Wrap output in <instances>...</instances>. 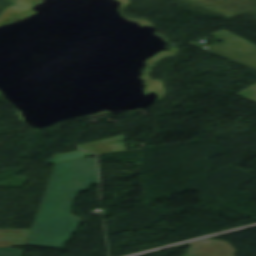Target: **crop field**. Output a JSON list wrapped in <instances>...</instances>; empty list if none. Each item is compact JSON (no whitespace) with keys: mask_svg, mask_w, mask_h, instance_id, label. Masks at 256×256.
Wrapping results in <instances>:
<instances>
[{"mask_svg":"<svg viewBox=\"0 0 256 256\" xmlns=\"http://www.w3.org/2000/svg\"><path fill=\"white\" fill-rule=\"evenodd\" d=\"M92 184H98L95 160L54 164L26 245L64 249L81 221L71 214L74 200Z\"/></svg>","mask_w":256,"mask_h":256,"instance_id":"1","label":"crop field"},{"mask_svg":"<svg viewBox=\"0 0 256 256\" xmlns=\"http://www.w3.org/2000/svg\"><path fill=\"white\" fill-rule=\"evenodd\" d=\"M210 36L224 42L222 45L213 44L208 50L218 56L228 58L256 69V46L223 30Z\"/></svg>","mask_w":256,"mask_h":256,"instance_id":"2","label":"crop field"},{"mask_svg":"<svg viewBox=\"0 0 256 256\" xmlns=\"http://www.w3.org/2000/svg\"><path fill=\"white\" fill-rule=\"evenodd\" d=\"M236 252L228 242L203 240L190 243L185 256H233Z\"/></svg>","mask_w":256,"mask_h":256,"instance_id":"3","label":"crop field"},{"mask_svg":"<svg viewBox=\"0 0 256 256\" xmlns=\"http://www.w3.org/2000/svg\"><path fill=\"white\" fill-rule=\"evenodd\" d=\"M124 140H125V137L124 135H122L118 137H113L109 139H104V140L80 145L79 147L83 150L91 151L96 154L123 151V150H126Z\"/></svg>","mask_w":256,"mask_h":256,"instance_id":"4","label":"crop field"},{"mask_svg":"<svg viewBox=\"0 0 256 256\" xmlns=\"http://www.w3.org/2000/svg\"><path fill=\"white\" fill-rule=\"evenodd\" d=\"M89 155H93V154H89V153L82 152V151L69 152V153L56 155V156L53 157V159L47 160L45 162L48 163V164H51V163H57V162L82 158V157H86V156H89Z\"/></svg>","mask_w":256,"mask_h":256,"instance_id":"5","label":"crop field"},{"mask_svg":"<svg viewBox=\"0 0 256 256\" xmlns=\"http://www.w3.org/2000/svg\"><path fill=\"white\" fill-rule=\"evenodd\" d=\"M237 95L256 102V84L251 86L250 88L238 93Z\"/></svg>","mask_w":256,"mask_h":256,"instance_id":"6","label":"crop field"},{"mask_svg":"<svg viewBox=\"0 0 256 256\" xmlns=\"http://www.w3.org/2000/svg\"><path fill=\"white\" fill-rule=\"evenodd\" d=\"M24 251L8 248L0 249V256H22Z\"/></svg>","mask_w":256,"mask_h":256,"instance_id":"7","label":"crop field"},{"mask_svg":"<svg viewBox=\"0 0 256 256\" xmlns=\"http://www.w3.org/2000/svg\"><path fill=\"white\" fill-rule=\"evenodd\" d=\"M191 44H193V45H195V46H197V47L203 49V45H201V44H199V43H197V42H194V43H191Z\"/></svg>","mask_w":256,"mask_h":256,"instance_id":"8","label":"crop field"}]
</instances>
